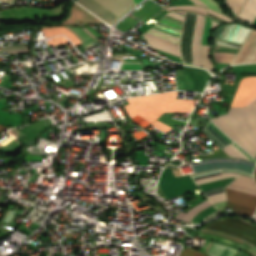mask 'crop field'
I'll use <instances>...</instances> for the list:
<instances>
[{"instance_id":"crop-field-1","label":"crop field","mask_w":256,"mask_h":256,"mask_svg":"<svg viewBox=\"0 0 256 256\" xmlns=\"http://www.w3.org/2000/svg\"><path fill=\"white\" fill-rule=\"evenodd\" d=\"M192 165L195 173L191 177L209 199L191 208L187 214L180 212L176 219L198 224L224 213L225 186L241 174L253 177L255 164L241 159H209Z\"/></svg>"},{"instance_id":"crop-field-2","label":"crop field","mask_w":256,"mask_h":256,"mask_svg":"<svg viewBox=\"0 0 256 256\" xmlns=\"http://www.w3.org/2000/svg\"><path fill=\"white\" fill-rule=\"evenodd\" d=\"M211 120L255 158L256 107H230L228 114L211 118Z\"/></svg>"},{"instance_id":"crop-field-3","label":"crop field","mask_w":256,"mask_h":256,"mask_svg":"<svg viewBox=\"0 0 256 256\" xmlns=\"http://www.w3.org/2000/svg\"><path fill=\"white\" fill-rule=\"evenodd\" d=\"M178 92L156 94L127 99L124 106L131 119L137 114L149 122L155 121L163 112H190L197 100L175 99Z\"/></svg>"},{"instance_id":"crop-field-4","label":"crop field","mask_w":256,"mask_h":256,"mask_svg":"<svg viewBox=\"0 0 256 256\" xmlns=\"http://www.w3.org/2000/svg\"><path fill=\"white\" fill-rule=\"evenodd\" d=\"M187 12L172 11L167 14L185 17ZM165 15L143 36L156 51L169 56L181 57L179 42L185 18Z\"/></svg>"},{"instance_id":"crop-field-5","label":"crop field","mask_w":256,"mask_h":256,"mask_svg":"<svg viewBox=\"0 0 256 256\" xmlns=\"http://www.w3.org/2000/svg\"><path fill=\"white\" fill-rule=\"evenodd\" d=\"M205 17L194 13L187 14L182 38L181 50L184 62L201 65L200 44Z\"/></svg>"},{"instance_id":"crop-field-6","label":"crop field","mask_w":256,"mask_h":256,"mask_svg":"<svg viewBox=\"0 0 256 256\" xmlns=\"http://www.w3.org/2000/svg\"><path fill=\"white\" fill-rule=\"evenodd\" d=\"M227 187L236 189V190H240V191H244V192H248V193H252V194H256V186L254 184L253 178L246 177L243 175L239 176L237 179H235L233 182H231ZM228 188H226V190L228 192H232V193H236V194H240V195H244V196L256 199V195H252V194H248V193H244V192H240V191H236V190H232V189H228ZM228 192H227V196H228L227 207L238 208V210L236 212L237 214H243L248 217L253 215V213L256 210V200L255 199L243 197V196L228 193Z\"/></svg>"},{"instance_id":"crop-field-7","label":"crop field","mask_w":256,"mask_h":256,"mask_svg":"<svg viewBox=\"0 0 256 256\" xmlns=\"http://www.w3.org/2000/svg\"><path fill=\"white\" fill-rule=\"evenodd\" d=\"M83 7L93 12L106 23L112 25L119 17L131 9L133 0H77Z\"/></svg>"},{"instance_id":"crop-field-8","label":"crop field","mask_w":256,"mask_h":256,"mask_svg":"<svg viewBox=\"0 0 256 256\" xmlns=\"http://www.w3.org/2000/svg\"><path fill=\"white\" fill-rule=\"evenodd\" d=\"M203 131L213 142H215L230 157L248 159L255 162V160L249 154H247L243 149H241L237 144H235L230 138H228L222 131H220L217 127H215L211 122V120L206 125ZM221 149L213 151L214 154L201 155L200 159L203 160L206 158H213V157H229Z\"/></svg>"},{"instance_id":"crop-field-9","label":"crop field","mask_w":256,"mask_h":256,"mask_svg":"<svg viewBox=\"0 0 256 256\" xmlns=\"http://www.w3.org/2000/svg\"><path fill=\"white\" fill-rule=\"evenodd\" d=\"M204 229H213L238 236L256 247V225L249 223L245 219L221 218L209 223Z\"/></svg>"},{"instance_id":"crop-field-10","label":"crop field","mask_w":256,"mask_h":256,"mask_svg":"<svg viewBox=\"0 0 256 256\" xmlns=\"http://www.w3.org/2000/svg\"><path fill=\"white\" fill-rule=\"evenodd\" d=\"M211 75L203 69L183 66L176 70V81L179 90H195L203 92Z\"/></svg>"},{"instance_id":"crop-field-11","label":"crop field","mask_w":256,"mask_h":256,"mask_svg":"<svg viewBox=\"0 0 256 256\" xmlns=\"http://www.w3.org/2000/svg\"><path fill=\"white\" fill-rule=\"evenodd\" d=\"M256 96V77L241 79L231 106H243ZM244 106H256V97Z\"/></svg>"},{"instance_id":"crop-field-12","label":"crop field","mask_w":256,"mask_h":256,"mask_svg":"<svg viewBox=\"0 0 256 256\" xmlns=\"http://www.w3.org/2000/svg\"><path fill=\"white\" fill-rule=\"evenodd\" d=\"M251 32V29L237 25V24H229L226 26L220 27L214 37L243 43L248 34Z\"/></svg>"},{"instance_id":"crop-field-13","label":"crop field","mask_w":256,"mask_h":256,"mask_svg":"<svg viewBox=\"0 0 256 256\" xmlns=\"http://www.w3.org/2000/svg\"><path fill=\"white\" fill-rule=\"evenodd\" d=\"M256 62V31L250 34L233 64Z\"/></svg>"},{"instance_id":"crop-field-14","label":"crop field","mask_w":256,"mask_h":256,"mask_svg":"<svg viewBox=\"0 0 256 256\" xmlns=\"http://www.w3.org/2000/svg\"><path fill=\"white\" fill-rule=\"evenodd\" d=\"M210 256H247L244 253L229 247L212 243L207 252Z\"/></svg>"},{"instance_id":"crop-field-15","label":"crop field","mask_w":256,"mask_h":256,"mask_svg":"<svg viewBox=\"0 0 256 256\" xmlns=\"http://www.w3.org/2000/svg\"><path fill=\"white\" fill-rule=\"evenodd\" d=\"M200 236L236 246L238 248H241V249L249 252L251 255L256 256V250L255 249H253V248H251V247H249L245 244H242L240 242L229 240V239H226V238H224L222 236H219V235L204 233V232H201Z\"/></svg>"},{"instance_id":"crop-field-16","label":"crop field","mask_w":256,"mask_h":256,"mask_svg":"<svg viewBox=\"0 0 256 256\" xmlns=\"http://www.w3.org/2000/svg\"><path fill=\"white\" fill-rule=\"evenodd\" d=\"M239 17L252 23L256 18V0H248L241 10Z\"/></svg>"},{"instance_id":"crop-field-17","label":"crop field","mask_w":256,"mask_h":256,"mask_svg":"<svg viewBox=\"0 0 256 256\" xmlns=\"http://www.w3.org/2000/svg\"><path fill=\"white\" fill-rule=\"evenodd\" d=\"M237 50L233 49H215V58L218 63H230L236 54Z\"/></svg>"},{"instance_id":"crop-field-18","label":"crop field","mask_w":256,"mask_h":256,"mask_svg":"<svg viewBox=\"0 0 256 256\" xmlns=\"http://www.w3.org/2000/svg\"><path fill=\"white\" fill-rule=\"evenodd\" d=\"M165 9H166V11L181 9V10H188V11L197 12V13L207 15L205 7L196 6V5L171 6V7L165 8Z\"/></svg>"},{"instance_id":"crop-field-19","label":"crop field","mask_w":256,"mask_h":256,"mask_svg":"<svg viewBox=\"0 0 256 256\" xmlns=\"http://www.w3.org/2000/svg\"><path fill=\"white\" fill-rule=\"evenodd\" d=\"M237 16L246 0H225L224 1Z\"/></svg>"},{"instance_id":"crop-field-20","label":"crop field","mask_w":256,"mask_h":256,"mask_svg":"<svg viewBox=\"0 0 256 256\" xmlns=\"http://www.w3.org/2000/svg\"><path fill=\"white\" fill-rule=\"evenodd\" d=\"M193 2H195L196 4H199V5H203V6H206V7H210L214 10H217L221 13H223V9L221 6H219L215 1L213 0H192Z\"/></svg>"},{"instance_id":"crop-field-21","label":"crop field","mask_w":256,"mask_h":256,"mask_svg":"<svg viewBox=\"0 0 256 256\" xmlns=\"http://www.w3.org/2000/svg\"><path fill=\"white\" fill-rule=\"evenodd\" d=\"M209 46L202 45V66L212 72V64L208 57Z\"/></svg>"},{"instance_id":"crop-field-22","label":"crop field","mask_w":256,"mask_h":256,"mask_svg":"<svg viewBox=\"0 0 256 256\" xmlns=\"http://www.w3.org/2000/svg\"><path fill=\"white\" fill-rule=\"evenodd\" d=\"M2 51H8L9 54L26 52L28 50V46H7L2 49Z\"/></svg>"},{"instance_id":"crop-field-23","label":"crop field","mask_w":256,"mask_h":256,"mask_svg":"<svg viewBox=\"0 0 256 256\" xmlns=\"http://www.w3.org/2000/svg\"><path fill=\"white\" fill-rule=\"evenodd\" d=\"M211 22L208 17H206L205 20V26H204V33H203V41L202 44L206 45L207 43V38L210 30Z\"/></svg>"},{"instance_id":"crop-field-24","label":"crop field","mask_w":256,"mask_h":256,"mask_svg":"<svg viewBox=\"0 0 256 256\" xmlns=\"http://www.w3.org/2000/svg\"><path fill=\"white\" fill-rule=\"evenodd\" d=\"M181 256H207V255H205L200 251L194 250L192 248H188L182 252Z\"/></svg>"},{"instance_id":"crop-field-25","label":"crop field","mask_w":256,"mask_h":256,"mask_svg":"<svg viewBox=\"0 0 256 256\" xmlns=\"http://www.w3.org/2000/svg\"><path fill=\"white\" fill-rule=\"evenodd\" d=\"M116 59L119 60H138L134 57H123V56H115ZM121 64H141L140 61H122Z\"/></svg>"},{"instance_id":"crop-field-26","label":"crop field","mask_w":256,"mask_h":256,"mask_svg":"<svg viewBox=\"0 0 256 256\" xmlns=\"http://www.w3.org/2000/svg\"><path fill=\"white\" fill-rule=\"evenodd\" d=\"M151 125H153L154 127L158 128L159 130H161L165 133L168 132L170 129H172L169 126H167L157 120L154 123H152Z\"/></svg>"},{"instance_id":"crop-field-27","label":"crop field","mask_w":256,"mask_h":256,"mask_svg":"<svg viewBox=\"0 0 256 256\" xmlns=\"http://www.w3.org/2000/svg\"><path fill=\"white\" fill-rule=\"evenodd\" d=\"M217 41V46H222V47H234V48H240V44H234V43H229V42H224V41Z\"/></svg>"},{"instance_id":"crop-field-28","label":"crop field","mask_w":256,"mask_h":256,"mask_svg":"<svg viewBox=\"0 0 256 256\" xmlns=\"http://www.w3.org/2000/svg\"><path fill=\"white\" fill-rule=\"evenodd\" d=\"M71 28L74 29L75 31H77V32L80 34V36H81L85 41L91 40V38H90L88 35H86L79 27H71Z\"/></svg>"},{"instance_id":"crop-field-29","label":"crop field","mask_w":256,"mask_h":256,"mask_svg":"<svg viewBox=\"0 0 256 256\" xmlns=\"http://www.w3.org/2000/svg\"><path fill=\"white\" fill-rule=\"evenodd\" d=\"M171 3L173 5H179V4H190V2L188 0H175V1H171Z\"/></svg>"},{"instance_id":"crop-field-30","label":"crop field","mask_w":256,"mask_h":256,"mask_svg":"<svg viewBox=\"0 0 256 256\" xmlns=\"http://www.w3.org/2000/svg\"><path fill=\"white\" fill-rule=\"evenodd\" d=\"M198 122H199V121L193 120V119H190V121H189L190 124H193V125H195V126H197Z\"/></svg>"},{"instance_id":"crop-field-31","label":"crop field","mask_w":256,"mask_h":256,"mask_svg":"<svg viewBox=\"0 0 256 256\" xmlns=\"http://www.w3.org/2000/svg\"><path fill=\"white\" fill-rule=\"evenodd\" d=\"M66 100V98H62V97H60L59 99H57L56 101H58V102H60V103H64V101Z\"/></svg>"},{"instance_id":"crop-field-32","label":"crop field","mask_w":256,"mask_h":256,"mask_svg":"<svg viewBox=\"0 0 256 256\" xmlns=\"http://www.w3.org/2000/svg\"><path fill=\"white\" fill-rule=\"evenodd\" d=\"M0 1H4V2H13L14 0H0Z\"/></svg>"},{"instance_id":"crop-field-33","label":"crop field","mask_w":256,"mask_h":256,"mask_svg":"<svg viewBox=\"0 0 256 256\" xmlns=\"http://www.w3.org/2000/svg\"><path fill=\"white\" fill-rule=\"evenodd\" d=\"M4 128L6 127L0 125V131H2Z\"/></svg>"},{"instance_id":"crop-field-34","label":"crop field","mask_w":256,"mask_h":256,"mask_svg":"<svg viewBox=\"0 0 256 256\" xmlns=\"http://www.w3.org/2000/svg\"><path fill=\"white\" fill-rule=\"evenodd\" d=\"M210 245H211V242H210V244L208 245V247L206 248V250H205L206 252H207L208 248L210 247Z\"/></svg>"},{"instance_id":"crop-field-35","label":"crop field","mask_w":256,"mask_h":256,"mask_svg":"<svg viewBox=\"0 0 256 256\" xmlns=\"http://www.w3.org/2000/svg\"><path fill=\"white\" fill-rule=\"evenodd\" d=\"M134 1H135V2H136V4H137V3H139L141 0H134Z\"/></svg>"},{"instance_id":"crop-field-36","label":"crop field","mask_w":256,"mask_h":256,"mask_svg":"<svg viewBox=\"0 0 256 256\" xmlns=\"http://www.w3.org/2000/svg\"><path fill=\"white\" fill-rule=\"evenodd\" d=\"M254 176H255V179H256V169H255V172H254Z\"/></svg>"},{"instance_id":"crop-field-37","label":"crop field","mask_w":256,"mask_h":256,"mask_svg":"<svg viewBox=\"0 0 256 256\" xmlns=\"http://www.w3.org/2000/svg\"><path fill=\"white\" fill-rule=\"evenodd\" d=\"M170 165V164H169ZM171 166H173V165H171ZM173 167H175V166H173ZM175 168H177L178 169V167H175Z\"/></svg>"},{"instance_id":"crop-field-38","label":"crop field","mask_w":256,"mask_h":256,"mask_svg":"<svg viewBox=\"0 0 256 256\" xmlns=\"http://www.w3.org/2000/svg\"><path fill=\"white\" fill-rule=\"evenodd\" d=\"M71 94V93H70ZM71 95H74V94H71ZM76 96H78V95H76Z\"/></svg>"}]
</instances>
